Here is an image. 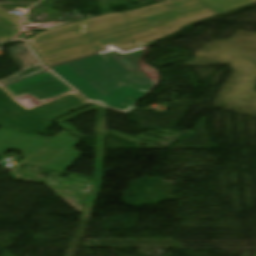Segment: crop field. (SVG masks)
I'll list each match as a JSON object with an SVG mask.
<instances>
[{"label":"crop field","instance_id":"crop-field-1","mask_svg":"<svg viewBox=\"0 0 256 256\" xmlns=\"http://www.w3.org/2000/svg\"><path fill=\"white\" fill-rule=\"evenodd\" d=\"M207 7L202 0H164L54 28L27 40L50 67L113 49L125 53L145 47L188 24L179 15Z\"/></svg>","mask_w":256,"mask_h":256},{"label":"crop field","instance_id":"crop-field-2","mask_svg":"<svg viewBox=\"0 0 256 256\" xmlns=\"http://www.w3.org/2000/svg\"><path fill=\"white\" fill-rule=\"evenodd\" d=\"M90 104L72 92L29 108L0 84V125L41 135L53 125L51 121Z\"/></svg>","mask_w":256,"mask_h":256},{"label":"crop field","instance_id":"crop-field-3","mask_svg":"<svg viewBox=\"0 0 256 256\" xmlns=\"http://www.w3.org/2000/svg\"><path fill=\"white\" fill-rule=\"evenodd\" d=\"M66 65L104 95L120 87L133 75L107 53Z\"/></svg>","mask_w":256,"mask_h":256},{"label":"crop field","instance_id":"crop-field-4","mask_svg":"<svg viewBox=\"0 0 256 256\" xmlns=\"http://www.w3.org/2000/svg\"><path fill=\"white\" fill-rule=\"evenodd\" d=\"M51 69H53L57 74H59L62 78H64L68 83H70L73 87H75L92 102L101 104L98 101L104 100L107 105H101L119 111L129 110L138 101L148 95V93L146 92H142L125 86L104 96L65 64L51 67Z\"/></svg>","mask_w":256,"mask_h":256},{"label":"crop field","instance_id":"crop-field-5","mask_svg":"<svg viewBox=\"0 0 256 256\" xmlns=\"http://www.w3.org/2000/svg\"><path fill=\"white\" fill-rule=\"evenodd\" d=\"M81 141L62 131L52 143L58 145L54 150L37 147L22 162L63 172L82 153L73 150Z\"/></svg>","mask_w":256,"mask_h":256},{"label":"crop field","instance_id":"crop-field-6","mask_svg":"<svg viewBox=\"0 0 256 256\" xmlns=\"http://www.w3.org/2000/svg\"><path fill=\"white\" fill-rule=\"evenodd\" d=\"M16 98L26 94L42 102L72 91L49 71L5 86Z\"/></svg>","mask_w":256,"mask_h":256},{"label":"crop field","instance_id":"crop-field-7","mask_svg":"<svg viewBox=\"0 0 256 256\" xmlns=\"http://www.w3.org/2000/svg\"><path fill=\"white\" fill-rule=\"evenodd\" d=\"M108 54L134 74L122 86L127 85L148 92L156 83L158 77L156 70L132 52L122 54L113 50L108 52Z\"/></svg>","mask_w":256,"mask_h":256},{"label":"crop field","instance_id":"crop-field-8","mask_svg":"<svg viewBox=\"0 0 256 256\" xmlns=\"http://www.w3.org/2000/svg\"><path fill=\"white\" fill-rule=\"evenodd\" d=\"M44 137L27 135L19 131L2 127L0 129V156L8 150L20 151L24 156L32 150Z\"/></svg>","mask_w":256,"mask_h":256},{"label":"crop field","instance_id":"crop-field-9","mask_svg":"<svg viewBox=\"0 0 256 256\" xmlns=\"http://www.w3.org/2000/svg\"><path fill=\"white\" fill-rule=\"evenodd\" d=\"M7 51L21 69H25L39 63L26 44L9 48Z\"/></svg>","mask_w":256,"mask_h":256},{"label":"crop field","instance_id":"crop-field-10","mask_svg":"<svg viewBox=\"0 0 256 256\" xmlns=\"http://www.w3.org/2000/svg\"><path fill=\"white\" fill-rule=\"evenodd\" d=\"M219 14L225 13L252 3L256 0H203Z\"/></svg>","mask_w":256,"mask_h":256},{"label":"crop field","instance_id":"crop-field-11","mask_svg":"<svg viewBox=\"0 0 256 256\" xmlns=\"http://www.w3.org/2000/svg\"><path fill=\"white\" fill-rule=\"evenodd\" d=\"M218 13L216 11H214L212 8H207V9H203V10H199L196 12H192L189 14H185V15H181L180 17L183 18L185 21H187L189 24H192L194 22L200 21L204 18L210 17V16H214L217 15ZM182 28V27H181ZM181 28L172 31L166 35H164L165 37L173 32H176L178 30H180Z\"/></svg>","mask_w":256,"mask_h":256},{"label":"crop field","instance_id":"crop-field-12","mask_svg":"<svg viewBox=\"0 0 256 256\" xmlns=\"http://www.w3.org/2000/svg\"><path fill=\"white\" fill-rule=\"evenodd\" d=\"M42 70H45V69L40 64H38L36 66L30 67L28 69H25V70L17 73L16 75H14L12 77H9V78H6L4 80H1L0 82H1L2 85H4V84H7L9 82L18 80L20 78L26 77L28 75L37 73V72L42 71Z\"/></svg>","mask_w":256,"mask_h":256},{"label":"crop field","instance_id":"crop-field-13","mask_svg":"<svg viewBox=\"0 0 256 256\" xmlns=\"http://www.w3.org/2000/svg\"><path fill=\"white\" fill-rule=\"evenodd\" d=\"M0 11H2V12H4V13H6L7 15L11 16L13 19H15V20H16L17 22H19L20 24H21L22 21H23V19H21V18L15 16V15H13V14H11V13H8V12L2 10V9H0Z\"/></svg>","mask_w":256,"mask_h":256}]
</instances>
